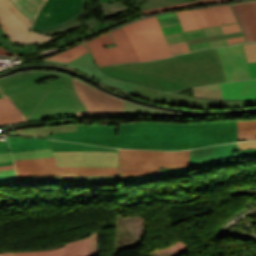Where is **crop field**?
I'll return each mask as SVG.
<instances>
[{
    "instance_id": "8a807250",
    "label": "crop field",
    "mask_w": 256,
    "mask_h": 256,
    "mask_svg": "<svg viewBox=\"0 0 256 256\" xmlns=\"http://www.w3.org/2000/svg\"><path fill=\"white\" fill-rule=\"evenodd\" d=\"M119 148L180 150L237 141L236 121L178 124L136 122L119 126L117 137L60 139Z\"/></svg>"
},
{
    "instance_id": "ac0d7876",
    "label": "crop field",
    "mask_w": 256,
    "mask_h": 256,
    "mask_svg": "<svg viewBox=\"0 0 256 256\" xmlns=\"http://www.w3.org/2000/svg\"><path fill=\"white\" fill-rule=\"evenodd\" d=\"M101 69L115 77L170 91L227 81L216 48L158 61L117 64Z\"/></svg>"
},
{
    "instance_id": "34b2d1b8",
    "label": "crop field",
    "mask_w": 256,
    "mask_h": 256,
    "mask_svg": "<svg viewBox=\"0 0 256 256\" xmlns=\"http://www.w3.org/2000/svg\"><path fill=\"white\" fill-rule=\"evenodd\" d=\"M121 176L160 175L159 168L190 167L189 150L150 151L119 149Z\"/></svg>"
},
{
    "instance_id": "412701ff",
    "label": "crop field",
    "mask_w": 256,
    "mask_h": 256,
    "mask_svg": "<svg viewBox=\"0 0 256 256\" xmlns=\"http://www.w3.org/2000/svg\"><path fill=\"white\" fill-rule=\"evenodd\" d=\"M140 61L172 56L155 17L122 27Z\"/></svg>"
},
{
    "instance_id": "f4fd0767",
    "label": "crop field",
    "mask_w": 256,
    "mask_h": 256,
    "mask_svg": "<svg viewBox=\"0 0 256 256\" xmlns=\"http://www.w3.org/2000/svg\"><path fill=\"white\" fill-rule=\"evenodd\" d=\"M116 47L105 49L113 44L109 33H105L86 42L98 65L105 66L121 62L139 61L122 28L110 31Z\"/></svg>"
},
{
    "instance_id": "dd49c442",
    "label": "crop field",
    "mask_w": 256,
    "mask_h": 256,
    "mask_svg": "<svg viewBox=\"0 0 256 256\" xmlns=\"http://www.w3.org/2000/svg\"><path fill=\"white\" fill-rule=\"evenodd\" d=\"M6 94L18 108L71 104L59 80L39 86L33 82Z\"/></svg>"
},
{
    "instance_id": "e52e79f7",
    "label": "crop field",
    "mask_w": 256,
    "mask_h": 256,
    "mask_svg": "<svg viewBox=\"0 0 256 256\" xmlns=\"http://www.w3.org/2000/svg\"><path fill=\"white\" fill-rule=\"evenodd\" d=\"M17 177L47 175H118V168L56 167L53 157L15 161Z\"/></svg>"
},
{
    "instance_id": "d8731c3e",
    "label": "crop field",
    "mask_w": 256,
    "mask_h": 256,
    "mask_svg": "<svg viewBox=\"0 0 256 256\" xmlns=\"http://www.w3.org/2000/svg\"><path fill=\"white\" fill-rule=\"evenodd\" d=\"M0 26L9 39L17 43H43L56 38L31 32L32 22L23 16L9 0H0Z\"/></svg>"
},
{
    "instance_id": "5a996713",
    "label": "crop field",
    "mask_w": 256,
    "mask_h": 256,
    "mask_svg": "<svg viewBox=\"0 0 256 256\" xmlns=\"http://www.w3.org/2000/svg\"><path fill=\"white\" fill-rule=\"evenodd\" d=\"M72 81L77 96L88 110L77 112L78 116H124L123 100L106 95L74 78Z\"/></svg>"
},
{
    "instance_id": "3316defc",
    "label": "crop field",
    "mask_w": 256,
    "mask_h": 256,
    "mask_svg": "<svg viewBox=\"0 0 256 256\" xmlns=\"http://www.w3.org/2000/svg\"><path fill=\"white\" fill-rule=\"evenodd\" d=\"M176 14L183 31L238 22L230 4L185 10Z\"/></svg>"
},
{
    "instance_id": "28ad6ade",
    "label": "crop field",
    "mask_w": 256,
    "mask_h": 256,
    "mask_svg": "<svg viewBox=\"0 0 256 256\" xmlns=\"http://www.w3.org/2000/svg\"><path fill=\"white\" fill-rule=\"evenodd\" d=\"M125 92L131 93L136 96H140L153 101L181 105L195 109H207V108H233V107H246L256 106V101L250 102H236V103H217L208 102L195 99H189L182 96H178L171 93H165L151 88L131 84L126 82Z\"/></svg>"
},
{
    "instance_id": "d1516ede",
    "label": "crop field",
    "mask_w": 256,
    "mask_h": 256,
    "mask_svg": "<svg viewBox=\"0 0 256 256\" xmlns=\"http://www.w3.org/2000/svg\"><path fill=\"white\" fill-rule=\"evenodd\" d=\"M17 185L51 186L61 185L64 187H94L121 185L119 176H47L17 178Z\"/></svg>"
},
{
    "instance_id": "22f410ed",
    "label": "crop field",
    "mask_w": 256,
    "mask_h": 256,
    "mask_svg": "<svg viewBox=\"0 0 256 256\" xmlns=\"http://www.w3.org/2000/svg\"><path fill=\"white\" fill-rule=\"evenodd\" d=\"M57 166L118 167L117 152H53Z\"/></svg>"
},
{
    "instance_id": "cbeb9de0",
    "label": "crop field",
    "mask_w": 256,
    "mask_h": 256,
    "mask_svg": "<svg viewBox=\"0 0 256 256\" xmlns=\"http://www.w3.org/2000/svg\"><path fill=\"white\" fill-rule=\"evenodd\" d=\"M83 0H47L35 23L50 25L63 22L80 12Z\"/></svg>"
},
{
    "instance_id": "5142ce71",
    "label": "crop field",
    "mask_w": 256,
    "mask_h": 256,
    "mask_svg": "<svg viewBox=\"0 0 256 256\" xmlns=\"http://www.w3.org/2000/svg\"><path fill=\"white\" fill-rule=\"evenodd\" d=\"M217 49L228 81L251 78L241 44Z\"/></svg>"
},
{
    "instance_id": "d9b57169",
    "label": "crop field",
    "mask_w": 256,
    "mask_h": 256,
    "mask_svg": "<svg viewBox=\"0 0 256 256\" xmlns=\"http://www.w3.org/2000/svg\"><path fill=\"white\" fill-rule=\"evenodd\" d=\"M85 6H86V0H84V3H83L80 14L73 17L72 19L64 22V23L51 25V26H38V25L34 24L33 31H36V32H39V33H42V34L53 35L55 33L68 31L71 28H75V27H78L80 25L86 24L90 31L94 32L95 34H98V33H101V32H103V31H105L109 28H112L114 26H117L121 23H124V22L128 21L127 19H125L123 21H120V22H117L115 24L104 27L101 20L100 19L97 20L96 17L94 16V14H93L88 20L81 23L78 19L82 17Z\"/></svg>"
},
{
    "instance_id": "733c2abd",
    "label": "crop field",
    "mask_w": 256,
    "mask_h": 256,
    "mask_svg": "<svg viewBox=\"0 0 256 256\" xmlns=\"http://www.w3.org/2000/svg\"><path fill=\"white\" fill-rule=\"evenodd\" d=\"M156 17L173 56L191 51L175 13Z\"/></svg>"
},
{
    "instance_id": "4a817a6b",
    "label": "crop field",
    "mask_w": 256,
    "mask_h": 256,
    "mask_svg": "<svg viewBox=\"0 0 256 256\" xmlns=\"http://www.w3.org/2000/svg\"><path fill=\"white\" fill-rule=\"evenodd\" d=\"M3 133L8 135L47 136L52 133L77 131L76 124H64L44 127L43 122L20 124L2 127Z\"/></svg>"
},
{
    "instance_id": "bc2a9ffb",
    "label": "crop field",
    "mask_w": 256,
    "mask_h": 256,
    "mask_svg": "<svg viewBox=\"0 0 256 256\" xmlns=\"http://www.w3.org/2000/svg\"><path fill=\"white\" fill-rule=\"evenodd\" d=\"M246 41H256V0L231 4Z\"/></svg>"
},
{
    "instance_id": "214f88e0",
    "label": "crop field",
    "mask_w": 256,
    "mask_h": 256,
    "mask_svg": "<svg viewBox=\"0 0 256 256\" xmlns=\"http://www.w3.org/2000/svg\"><path fill=\"white\" fill-rule=\"evenodd\" d=\"M24 122L60 117H77L71 105L20 109Z\"/></svg>"
},
{
    "instance_id": "92a150f3",
    "label": "crop field",
    "mask_w": 256,
    "mask_h": 256,
    "mask_svg": "<svg viewBox=\"0 0 256 256\" xmlns=\"http://www.w3.org/2000/svg\"><path fill=\"white\" fill-rule=\"evenodd\" d=\"M43 61L58 63V64L69 66V67L74 68V69H78V70L90 75L91 77H94V78H96V79H98L102 82L109 83V84H111V85H113V86H115V87L124 91L125 82L108 78L104 74H102L96 68L95 64L93 63L89 52L84 54L83 56L67 63V64L61 63V62L49 61V60H43Z\"/></svg>"
},
{
    "instance_id": "dafd665d",
    "label": "crop field",
    "mask_w": 256,
    "mask_h": 256,
    "mask_svg": "<svg viewBox=\"0 0 256 256\" xmlns=\"http://www.w3.org/2000/svg\"><path fill=\"white\" fill-rule=\"evenodd\" d=\"M236 150V143L191 150V163L238 157V154L232 153Z\"/></svg>"
},
{
    "instance_id": "00972430",
    "label": "crop field",
    "mask_w": 256,
    "mask_h": 256,
    "mask_svg": "<svg viewBox=\"0 0 256 256\" xmlns=\"http://www.w3.org/2000/svg\"><path fill=\"white\" fill-rule=\"evenodd\" d=\"M223 100L256 99V80L221 84Z\"/></svg>"
},
{
    "instance_id": "a9b5d70f",
    "label": "crop field",
    "mask_w": 256,
    "mask_h": 256,
    "mask_svg": "<svg viewBox=\"0 0 256 256\" xmlns=\"http://www.w3.org/2000/svg\"><path fill=\"white\" fill-rule=\"evenodd\" d=\"M54 75L56 77L57 73L41 72V71H32L25 72L10 77L0 79V98L6 97V91L15 89L17 87L26 85L32 81H37L39 79Z\"/></svg>"
},
{
    "instance_id": "4177f3b9",
    "label": "crop field",
    "mask_w": 256,
    "mask_h": 256,
    "mask_svg": "<svg viewBox=\"0 0 256 256\" xmlns=\"http://www.w3.org/2000/svg\"><path fill=\"white\" fill-rule=\"evenodd\" d=\"M64 246L66 256H99L98 231L88 238L74 241Z\"/></svg>"
},
{
    "instance_id": "730fd06b",
    "label": "crop field",
    "mask_w": 256,
    "mask_h": 256,
    "mask_svg": "<svg viewBox=\"0 0 256 256\" xmlns=\"http://www.w3.org/2000/svg\"><path fill=\"white\" fill-rule=\"evenodd\" d=\"M239 163L238 158L218 160L211 162H199L191 164L192 168H168L161 169V180L170 179L174 177L187 176L190 175L189 171L206 169L212 166H230Z\"/></svg>"
},
{
    "instance_id": "eef30255",
    "label": "crop field",
    "mask_w": 256,
    "mask_h": 256,
    "mask_svg": "<svg viewBox=\"0 0 256 256\" xmlns=\"http://www.w3.org/2000/svg\"><path fill=\"white\" fill-rule=\"evenodd\" d=\"M78 132L73 133H63V134H53L48 135L51 138H70V137H86V136H115L113 125H83L77 124Z\"/></svg>"
},
{
    "instance_id": "ae1a2a85",
    "label": "crop field",
    "mask_w": 256,
    "mask_h": 256,
    "mask_svg": "<svg viewBox=\"0 0 256 256\" xmlns=\"http://www.w3.org/2000/svg\"><path fill=\"white\" fill-rule=\"evenodd\" d=\"M126 115H154L162 117H203L209 115H190V114H176L161 110H155L139 105H135L125 101V116Z\"/></svg>"
},
{
    "instance_id": "d3111659",
    "label": "crop field",
    "mask_w": 256,
    "mask_h": 256,
    "mask_svg": "<svg viewBox=\"0 0 256 256\" xmlns=\"http://www.w3.org/2000/svg\"><path fill=\"white\" fill-rule=\"evenodd\" d=\"M238 31H242V30L239 24L237 23V24H231V25H225V26L222 25L217 27L187 31V32H184V34L187 39H194V38L226 34V33L238 32Z\"/></svg>"
},
{
    "instance_id": "750c4746",
    "label": "crop field",
    "mask_w": 256,
    "mask_h": 256,
    "mask_svg": "<svg viewBox=\"0 0 256 256\" xmlns=\"http://www.w3.org/2000/svg\"><path fill=\"white\" fill-rule=\"evenodd\" d=\"M22 121L20 112L8 98L0 99V124Z\"/></svg>"
},
{
    "instance_id": "bd1437ed",
    "label": "crop field",
    "mask_w": 256,
    "mask_h": 256,
    "mask_svg": "<svg viewBox=\"0 0 256 256\" xmlns=\"http://www.w3.org/2000/svg\"><path fill=\"white\" fill-rule=\"evenodd\" d=\"M0 46L17 53L19 56H32L35 54L34 44L22 45L11 42L0 28Z\"/></svg>"
},
{
    "instance_id": "1d83c4d3",
    "label": "crop field",
    "mask_w": 256,
    "mask_h": 256,
    "mask_svg": "<svg viewBox=\"0 0 256 256\" xmlns=\"http://www.w3.org/2000/svg\"><path fill=\"white\" fill-rule=\"evenodd\" d=\"M23 15L29 18L32 22L35 15L39 11L43 0H10Z\"/></svg>"
},
{
    "instance_id": "120bbe31",
    "label": "crop field",
    "mask_w": 256,
    "mask_h": 256,
    "mask_svg": "<svg viewBox=\"0 0 256 256\" xmlns=\"http://www.w3.org/2000/svg\"><path fill=\"white\" fill-rule=\"evenodd\" d=\"M53 151H117L113 148L88 146L66 142L50 143Z\"/></svg>"
},
{
    "instance_id": "d32e631a",
    "label": "crop field",
    "mask_w": 256,
    "mask_h": 256,
    "mask_svg": "<svg viewBox=\"0 0 256 256\" xmlns=\"http://www.w3.org/2000/svg\"><path fill=\"white\" fill-rule=\"evenodd\" d=\"M238 141L256 140V120L237 121Z\"/></svg>"
},
{
    "instance_id": "5866460e",
    "label": "crop field",
    "mask_w": 256,
    "mask_h": 256,
    "mask_svg": "<svg viewBox=\"0 0 256 256\" xmlns=\"http://www.w3.org/2000/svg\"><path fill=\"white\" fill-rule=\"evenodd\" d=\"M86 52H88V50H87L85 44H80V45H77L69 50H66L64 52H61L59 54H56V55H53L51 57L44 58V59L61 61V62L67 63V62L83 55Z\"/></svg>"
},
{
    "instance_id": "028f5c9d",
    "label": "crop field",
    "mask_w": 256,
    "mask_h": 256,
    "mask_svg": "<svg viewBox=\"0 0 256 256\" xmlns=\"http://www.w3.org/2000/svg\"><path fill=\"white\" fill-rule=\"evenodd\" d=\"M58 75L60 77L61 84H62L63 88L65 89V91L72 103L74 110L75 111L86 110V108L82 105V103L79 101V99L77 98V96L74 92L71 78L68 76H65V75H61V74H58Z\"/></svg>"
},
{
    "instance_id": "e1f06a70",
    "label": "crop field",
    "mask_w": 256,
    "mask_h": 256,
    "mask_svg": "<svg viewBox=\"0 0 256 256\" xmlns=\"http://www.w3.org/2000/svg\"><path fill=\"white\" fill-rule=\"evenodd\" d=\"M104 18H109L129 9L121 0H99Z\"/></svg>"
},
{
    "instance_id": "0bd39190",
    "label": "crop field",
    "mask_w": 256,
    "mask_h": 256,
    "mask_svg": "<svg viewBox=\"0 0 256 256\" xmlns=\"http://www.w3.org/2000/svg\"><path fill=\"white\" fill-rule=\"evenodd\" d=\"M193 90L197 97L222 99L220 84L195 87Z\"/></svg>"
},
{
    "instance_id": "b80d0937",
    "label": "crop field",
    "mask_w": 256,
    "mask_h": 256,
    "mask_svg": "<svg viewBox=\"0 0 256 256\" xmlns=\"http://www.w3.org/2000/svg\"><path fill=\"white\" fill-rule=\"evenodd\" d=\"M245 42L246 41L244 37H237V38H228V39H222V40L209 41V42L193 44L189 46L193 51L196 49L216 47V46H221L225 44H239V43H245Z\"/></svg>"
},
{
    "instance_id": "c035e120",
    "label": "crop field",
    "mask_w": 256,
    "mask_h": 256,
    "mask_svg": "<svg viewBox=\"0 0 256 256\" xmlns=\"http://www.w3.org/2000/svg\"><path fill=\"white\" fill-rule=\"evenodd\" d=\"M15 160L53 156L51 149L13 153Z\"/></svg>"
},
{
    "instance_id": "c21b1889",
    "label": "crop field",
    "mask_w": 256,
    "mask_h": 256,
    "mask_svg": "<svg viewBox=\"0 0 256 256\" xmlns=\"http://www.w3.org/2000/svg\"><path fill=\"white\" fill-rule=\"evenodd\" d=\"M123 186L147 184L160 180V176H147V177H121Z\"/></svg>"
},
{
    "instance_id": "03da06ac",
    "label": "crop field",
    "mask_w": 256,
    "mask_h": 256,
    "mask_svg": "<svg viewBox=\"0 0 256 256\" xmlns=\"http://www.w3.org/2000/svg\"><path fill=\"white\" fill-rule=\"evenodd\" d=\"M16 256H65L64 246L50 251L17 252Z\"/></svg>"
},
{
    "instance_id": "b54c1fbb",
    "label": "crop field",
    "mask_w": 256,
    "mask_h": 256,
    "mask_svg": "<svg viewBox=\"0 0 256 256\" xmlns=\"http://www.w3.org/2000/svg\"><path fill=\"white\" fill-rule=\"evenodd\" d=\"M192 2H187V3H181V4H175V5H169V6H163L160 8H155V9H150L146 11H141L142 15H150L162 11H167V10H173V9H178V8H186V7H192Z\"/></svg>"
},
{
    "instance_id": "5d738f31",
    "label": "crop field",
    "mask_w": 256,
    "mask_h": 256,
    "mask_svg": "<svg viewBox=\"0 0 256 256\" xmlns=\"http://www.w3.org/2000/svg\"><path fill=\"white\" fill-rule=\"evenodd\" d=\"M147 3L143 4L140 10L155 8L163 5L186 2L190 0H146Z\"/></svg>"
},
{
    "instance_id": "d23c7cc5",
    "label": "crop field",
    "mask_w": 256,
    "mask_h": 256,
    "mask_svg": "<svg viewBox=\"0 0 256 256\" xmlns=\"http://www.w3.org/2000/svg\"><path fill=\"white\" fill-rule=\"evenodd\" d=\"M247 63L256 62V43L242 44Z\"/></svg>"
},
{
    "instance_id": "425ffa30",
    "label": "crop field",
    "mask_w": 256,
    "mask_h": 256,
    "mask_svg": "<svg viewBox=\"0 0 256 256\" xmlns=\"http://www.w3.org/2000/svg\"><path fill=\"white\" fill-rule=\"evenodd\" d=\"M83 40L82 37L78 34H74V35H70L58 42H55L54 43V46L58 47L59 49L63 48V47H66L68 45H71L73 43H76V42H79Z\"/></svg>"
},
{
    "instance_id": "25e5ab78",
    "label": "crop field",
    "mask_w": 256,
    "mask_h": 256,
    "mask_svg": "<svg viewBox=\"0 0 256 256\" xmlns=\"http://www.w3.org/2000/svg\"><path fill=\"white\" fill-rule=\"evenodd\" d=\"M237 36H243V33L238 32V33L219 35V36H213V37H207V38H200V39H194V40H187V41L189 44H192V43H199V42H204V41H209V40L228 38V37H237Z\"/></svg>"
},
{
    "instance_id": "73cf0c24",
    "label": "crop field",
    "mask_w": 256,
    "mask_h": 256,
    "mask_svg": "<svg viewBox=\"0 0 256 256\" xmlns=\"http://www.w3.org/2000/svg\"><path fill=\"white\" fill-rule=\"evenodd\" d=\"M256 157V148L239 151V158Z\"/></svg>"
},
{
    "instance_id": "89e229c0",
    "label": "crop field",
    "mask_w": 256,
    "mask_h": 256,
    "mask_svg": "<svg viewBox=\"0 0 256 256\" xmlns=\"http://www.w3.org/2000/svg\"><path fill=\"white\" fill-rule=\"evenodd\" d=\"M227 1H233V0H194L192 2L194 6H197V5H203V4L227 2Z\"/></svg>"
},
{
    "instance_id": "1f2cbd36",
    "label": "crop field",
    "mask_w": 256,
    "mask_h": 256,
    "mask_svg": "<svg viewBox=\"0 0 256 256\" xmlns=\"http://www.w3.org/2000/svg\"><path fill=\"white\" fill-rule=\"evenodd\" d=\"M9 183H15V175L0 177V186L10 185Z\"/></svg>"
},
{
    "instance_id": "dbb93151",
    "label": "crop field",
    "mask_w": 256,
    "mask_h": 256,
    "mask_svg": "<svg viewBox=\"0 0 256 256\" xmlns=\"http://www.w3.org/2000/svg\"><path fill=\"white\" fill-rule=\"evenodd\" d=\"M238 148L240 149H245V148H254L256 147V141L253 142H243V143H237Z\"/></svg>"
},
{
    "instance_id": "0fb4a251",
    "label": "crop field",
    "mask_w": 256,
    "mask_h": 256,
    "mask_svg": "<svg viewBox=\"0 0 256 256\" xmlns=\"http://www.w3.org/2000/svg\"><path fill=\"white\" fill-rule=\"evenodd\" d=\"M251 77L256 78V63L247 64Z\"/></svg>"
},
{
    "instance_id": "1d79db26",
    "label": "crop field",
    "mask_w": 256,
    "mask_h": 256,
    "mask_svg": "<svg viewBox=\"0 0 256 256\" xmlns=\"http://www.w3.org/2000/svg\"><path fill=\"white\" fill-rule=\"evenodd\" d=\"M4 152H10L8 144L6 141H1L0 142V153H4Z\"/></svg>"
},
{
    "instance_id": "9d1cf04e",
    "label": "crop field",
    "mask_w": 256,
    "mask_h": 256,
    "mask_svg": "<svg viewBox=\"0 0 256 256\" xmlns=\"http://www.w3.org/2000/svg\"><path fill=\"white\" fill-rule=\"evenodd\" d=\"M13 161L10 153L0 154V162Z\"/></svg>"
},
{
    "instance_id": "447ae74e",
    "label": "crop field",
    "mask_w": 256,
    "mask_h": 256,
    "mask_svg": "<svg viewBox=\"0 0 256 256\" xmlns=\"http://www.w3.org/2000/svg\"><path fill=\"white\" fill-rule=\"evenodd\" d=\"M15 174L14 173V170H4V171H0V176L1 175H13Z\"/></svg>"
},
{
    "instance_id": "0765c3eb",
    "label": "crop field",
    "mask_w": 256,
    "mask_h": 256,
    "mask_svg": "<svg viewBox=\"0 0 256 256\" xmlns=\"http://www.w3.org/2000/svg\"><path fill=\"white\" fill-rule=\"evenodd\" d=\"M178 93H183V94L194 96L192 88L188 89V90L179 91Z\"/></svg>"
},
{
    "instance_id": "db79e9e6",
    "label": "crop field",
    "mask_w": 256,
    "mask_h": 256,
    "mask_svg": "<svg viewBox=\"0 0 256 256\" xmlns=\"http://www.w3.org/2000/svg\"><path fill=\"white\" fill-rule=\"evenodd\" d=\"M80 35L83 37V39H86V38L92 36L93 34H91L89 32H83V33H80Z\"/></svg>"
},
{
    "instance_id": "7b73153f",
    "label": "crop field",
    "mask_w": 256,
    "mask_h": 256,
    "mask_svg": "<svg viewBox=\"0 0 256 256\" xmlns=\"http://www.w3.org/2000/svg\"><path fill=\"white\" fill-rule=\"evenodd\" d=\"M3 169H14V165L0 167V170H3Z\"/></svg>"
},
{
    "instance_id": "78b8030e",
    "label": "crop field",
    "mask_w": 256,
    "mask_h": 256,
    "mask_svg": "<svg viewBox=\"0 0 256 256\" xmlns=\"http://www.w3.org/2000/svg\"><path fill=\"white\" fill-rule=\"evenodd\" d=\"M3 256H15L14 253H1Z\"/></svg>"
},
{
    "instance_id": "0f1d7ab4",
    "label": "crop field",
    "mask_w": 256,
    "mask_h": 256,
    "mask_svg": "<svg viewBox=\"0 0 256 256\" xmlns=\"http://www.w3.org/2000/svg\"><path fill=\"white\" fill-rule=\"evenodd\" d=\"M9 164H13V162H3V163H0V166H2V165H9Z\"/></svg>"
},
{
    "instance_id": "e1d0b9f6",
    "label": "crop field",
    "mask_w": 256,
    "mask_h": 256,
    "mask_svg": "<svg viewBox=\"0 0 256 256\" xmlns=\"http://www.w3.org/2000/svg\"><path fill=\"white\" fill-rule=\"evenodd\" d=\"M0 256H2V255H0Z\"/></svg>"
}]
</instances>
